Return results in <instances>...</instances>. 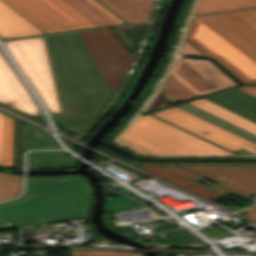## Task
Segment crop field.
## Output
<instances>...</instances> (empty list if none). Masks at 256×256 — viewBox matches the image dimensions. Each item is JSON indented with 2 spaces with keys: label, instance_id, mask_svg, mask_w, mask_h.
Returning <instances> with one entry per match:
<instances>
[{
  "label": "crop field",
  "instance_id": "obj_10",
  "mask_svg": "<svg viewBox=\"0 0 256 256\" xmlns=\"http://www.w3.org/2000/svg\"><path fill=\"white\" fill-rule=\"evenodd\" d=\"M91 204L0 214V227L32 224L88 216Z\"/></svg>",
  "mask_w": 256,
  "mask_h": 256
},
{
  "label": "crop field",
  "instance_id": "obj_18",
  "mask_svg": "<svg viewBox=\"0 0 256 256\" xmlns=\"http://www.w3.org/2000/svg\"><path fill=\"white\" fill-rule=\"evenodd\" d=\"M141 168L145 169V170H148L160 177H163L173 183H176L182 187H185L203 197H206L210 200L216 198V197H219V196H222L220 194H217L203 186H200L180 175H177L175 173H172L158 165H143L141 166Z\"/></svg>",
  "mask_w": 256,
  "mask_h": 256
},
{
  "label": "crop field",
  "instance_id": "obj_36",
  "mask_svg": "<svg viewBox=\"0 0 256 256\" xmlns=\"http://www.w3.org/2000/svg\"><path fill=\"white\" fill-rule=\"evenodd\" d=\"M147 24H148V23H145V24H137V25H135V26H136V28L139 30V32L143 35Z\"/></svg>",
  "mask_w": 256,
  "mask_h": 256
},
{
  "label": "crop field",
  "instance_id": "obj_22",
  "mask_svg": "<svg viewBox=\"0 0 256 256\" xmlns=\"http://www.w3.org/2000/svg\"><path fill=\"white\" fill-rule=\"evenodd\" d=\"M21 193V177L0 173V201L18 196Z\"/></svg>",
  "mask_w": 256,
  "mask_h": 256
},
{
  "label": "crop field",
  "instance_id": "obj_4",
  "mask_svg": "<svg viewBox=\"0 0 256 256\" xmlns=\"http://www.w3.org/2000/svg\"><path fill=\"white\" fill-rule=\"evenodd\" d=\"M120 138L156 155H235L149 114L140 116Z\"/></svg>",
  "mask_w": 256,
  "mask_h": 256
},
{
  "label": "crop field",
  "instance_id": "obj_21",
  "mask_svg": "<svg viewBox=\"0 0 256 256\" xmlns=\"http://www.w3.org/2000/svg\"><path fill=\"white\" fill-rule=\"evenodd\" d=\"M22 147L29 148L57 147L56 143L49 137H37L36 128L22 125Z\"/></svg>",
  "mask_w": 256,
  "mask_h": 256
},
{
  "label": "crop field",
  "instance_id": "obj_30",
  "mask_svg": "<svg viewBox=\"0 0 256 256\" xmlns=\"http://www.w3.org/2000/svg\"><path fill=\"white\" fill-rule=\"evenodd\" d=\"M179 54H185V55H195V56H203L206 57L205 55H203L199 50H197L194 46H192L188 41H186L184 39L182 47L180 49Z\"/></svg>",
  "mask_w": 256,
  "mask_h": 256
},
{
  "label": "crop field",
  "instance_id": "obj_37",
  "mask_svg": "<svg viewBox=\"0 0 256 256\" xmlns=\"http://www.w3.org/2000/svg\"><path fill=\"white\" fill-rule=\"evenodd\" d=\"M136 50H137V48L131 49V53L134 55Z\"/></svg>",
  "mask_w": 256,
  "mask_h": 256
},
{
  "label": "crop field",
  "instance_id": "obj_26",
  "mask_svg": "<svg viewBox=\"0 0 256 256\" xmlns=\"http://www.w3.org/2000/svg\"><path fill=\"white\" fill-rule=\"evenodd\" d=\"M5 166L12 167V118L5 115Z\"/></svg>",
  "mask_w": 256,
  "mask_h": 256
},
{
  "label": "crop field",
  "instance_id": "obj_19",
  "mask_svg": "<svg viewBox=\"0 0 256 256\" xmlns=\"http://www.w3.org/2000/svg\"><path fill=\"white\" fill-rule=\"evenodd\" d=\"M256 6V0H198L193 15Z\"/></svg>",
  "mask_w": 256,
  "mask_h": 256
},
{
  "label": "crop field",
  "instance_id": "obj_38",
  "mask_svg": "<svg viewBox=\"0 0 256 256\" xmlns=\"http://www.w3.org/2000/svg\"><path fill=\"white\" fill-rule=\"evenodd\" d=\"M39 256H48V254H47V253H45V254H41V255H39Z\"/></svg>",
  "mask_w": 256,
  "mask_h": 256
},
{
  "label": "crop field",
  "instance_id": "obj_6",
  "mask_svg": "<svg viewBox=\"0 0 256 256\" xmlns=\"http://www.w3.org/2000/svg\"><path fill=\"white\" fill-rule=\"evenodd\" d=\"M106 86L115 91L133 56L110 28L78 32Z\"/></svg>",
  "mask_w": 256,
  "mask_h": 256
},
{
  "label": "crop field",
  "instance_id": "obj_23",
  "mask_svg": "<svg viewBox=\"0 0 256 256\" xmlns=\"http://www.w3.org/2000/svg\"><path fill=\"white\" fill-rule=\"evenodd\" d=\"M22 166L21 123L13 119V167Z\"/></svg>",
  "mask_w": 256,
  "mask_h": 256
},
{
  "label": "crop field",
  "instance_id": "obj_11",
  "mask_svg": "<svg viewBox=\"0 0 256 256\" xmlns=\"http://www.w3.org/2000/svg\"><path fill=\"white\" fill-rule=\"evenodd\" d=\"M92 192L25 197L0 204V213L91 203Z\"/></svg>",
  "mask_w": 256,
  "mask_h": 256
},
{
  "label": "crop field",
  "instance_id": "obj_7",
  "mask_svg": "<svg viewBox=\"0 0 256 256\" xmlns=\"http://www.w3.org/2000/svg\"><path fill=\"white\" fill-rule=\"evenodd\" d=\"M51 113L61 112L42 37L4 43Z\"/></svg>",
  "mask_w": 256,
  "mask_h": 256
},
{
  "label": "crop field",
  "instance_id": "obj_16",
  "mask_svg": "<svg viewBox=\"0 0 256 256\" xmlns=\"http://www.w3.org/2000/svg\"><path fill=\"white\" fill-rule=\"evenodd\" d=\"M77 161L62 151L28 153V169L76 167Z\"/></svg>",
  "mask_w": 256,
  "mask_h": 256
},
{
  "label": "crop field",
  "instance_id": "obj_32",
  "mask_svg": "<svg viewBox=\"0 0 256 256\" xmlns=\"http://www.w3.org/2000/svg\"><path fill=\"white\" fill-rule=\"evenodd\" d=\"M167 102L168 100L165 98V96L161 92H159L157 98L150 104L148 108H151L159 104L167 103Z\"/></svg>",
  "mask_w": 256,
  "mask_h": 256
},
{
  "label": "crop field",
  "instance_id": "obj_29",
  "mask_svg": "<svg viewBox=\"0 0 256 256\" xmlns=\"http://www.w3.org/2000/svg\"><path fill=\"white\" fill-rule=\"evenodd\" d=\"M232 12L256 30V8Z\"/></svg>",
  "mask_w": 256,
  "mask_h": 256
},
{
  "label": "crop field",
  "instance_id": "obj_15",
  "mask_svg": "<svg viewBox=\"0 0 256 256\" xmlns=\"http://www.w3.org/2000/svg\"><path fill=\"white\" fill-rule=\"evenodd\" d=\"M129 23L146 21L154 1L152 0H98ZM127 22V23H128Z\"/></svg>",
  "mask_w": 256,
  "mask_h": 256
},
{
  "label": "crop field",
  "instance_id": "obj_33",
  "mask_svg": "<svg viewBox=\"0 0 256 256\" xmlns=\"http://www.w3.org/2000/svg\"><path fill=\"white\" fill-rule=\"evenodd\" d=\"M236 88L256 97V86H240Z\"/></svg>",
  "mask_w": 256,
  "mask_h": 256
},
{
  "label": "crop field",
  "instance_id": "obj_8",
  "mask_svg": "<svg viewBox=\"0 0 256 256\" xmlns=\"http://www.w3.org/2000/svg\"><path fill=\"white\" fill-rule=\"evenodd\" d=\"M152 114L211 140L232 152L242 148L256 153V144L176 107Z\"/></svg>",
  "mask_w": 256,
  "mask_h": 256
},
{
  "label": "crop field",
  "instance_id": "obj_35",
  "mask_svg": "<svg viewBox=\"0 0 256 256\" xmlns=\"http://www.w3.org/2000/svg\"><path fill=\"white\" fill-rule=\"evenodd\" d=\"M118 142H120V143H122V144H124V145L130 146V147H132L133 149H135V150H137V151H139V152H141V153H143V154H152V153H150V152H148V151H144V150H142V149H140V148H138V147H136V146H134V145H132V144H130V143H128V142H125V141H123V140H121V139H118ZM152 155H154V154H152Z\"/></svg>",
  "mask_w": 256,
  "mask_h": 256
},
{
  "label": "crop field",
  "instance_id": "obj_27",
  "mask_svg": "<svg viewBox=\"0 0 256 256\" xmlns=\"http://www.w3.org/2000/svg\"><path fill=\"white\" fill-rule=\"evenodd\" d=\"M71 256H142V253L116 252V251H93V250H71Z\"/></svg>",
  "mask_w": 256,
  "mask_h": 256
},
{
  "label": "crop field",
  "instance_id": "obj_25",
  "mask_svg": "<svg viewBox=\"0 0 256 256\" xmlns=\"http://www.w3.org/2000/svg\"><path fill=\"white\" fill-rule=\"evenodd\" d=\"M141 207L134 201L122 195L106 201L105 213L110 211L126 210Z\"/></svg>",
  "mask_w": 256,
  "mask_h": 256
},
{
  "label": "crop field",
  "instance_id": "obj_1",
  "mask_svg": "<svg viewBox=\"0 0 256 256\" xmlns=\"http://www.w3.org/2000/svg\"><path fill=\"white\" fill-rule=\"evenodd\" d=\"M62 113L53 117L77 134L111 97L77 32L44 37Z\"/></svg>",
  "mask_w": 256,
  "mask_h": 256
},
{
  "label": "crop field",
  "instance_id": "obj_13",
  "mask_svg": "<svg viewBox=\"0 0 256 256\" xmlns=\"http://www.w3.org/2000/svg\"><path fill=\"white\" fill-rule=\"evenodd\" d=\"M0 101L29 114H40L36 104L0 54Z\"/></svg>",
  "mask_w": 256,
  "mask_h": 256
},
{
  "label": "crop field",
  "instance_id": "obj_3",
  "mask_svg": "<svg viewBox=\"0 0 256 256\" xmlns=\"http://www.w3.org/2000/svg\"><path fill=\"white\" fill-rule=\"evenodd\" d=\"M44 34L125 22L96 0H3Z\"/></svg>",
  "mask_w": 256,
  "mask_h": 256
},
{
  "label": "crop field",
  "instance_id": "obj_20",
  "mask_svg": "<svg viewBox=\"0 0 256 256\" xmlns=\"http://www.w3.org/2000/svg\"><path fill=\"white\" fill-rule=\"evenodd\" d=\"M176 107H178L180 109H183V110H185L189 113H192L196 116H199V117H201V118H203V119H205V120H207L211 123H214V124L224 128V129H227V130H229V131H231V132H233V133H235V134H237V135H239V136H241V137H243L247 140L251 139V140H253L252 142L256 143V136L255 135H253V134H251L247 131H244V130L238 128V127H235V126H233V125H231L227 122H224V121H222V120H220V119H218V118H216V117H214V116H212L208 113H205V112H203V111H201V110H199V109H197V108H195V107H193V106H191L187 103L177 105Z\"/></svg>",
  "mask_w": 256,
  "mask_h": 256
},
{
  "label": "crop field",
  "instance_id": "obj_12",
  "mask_svg": "<svg viewBox=\"0 0 256 256\" xmlns=\"http://www.w3.org/2000/svg\"><path fill=\"white\" fill-rule=\"evenodd\" d=\"M91 191L85 177L80 175L27 177V192L23 196L53 195Z\"/></svg>",
  "mask_w": 256,
  "mask_h": 256
},
{
  "label": "crop field",
  "instance_id": "obj_5",
  "mask_svg": "<svg viewBox=\"0 0 256 256\" xmlns=\"http://www.w3.org/2000/svg\"><path fill=\"white\" fill-rule=\"evenodd\" d=\"M234 85H238V83L210 61L178 58L173 64L161 92L173 105Z\"/></svg>",
  "mask_w": 256,
  "mask_h": 256
},
{
  "label": "crop field",
  "instance_id": "obj_24",
  "mask_svg": "<svg viewBox=\"0 0 256 256\" xmlns=\"http://www.w3.org/2000/svg\"><path fill=\"white\" fill-rule=\"evenodd\" d=\"M115 29L129 46V48L139 46L142 36L134 27V25L115 27Z\"/></svg>",
  "mask_w": 256,
  "mask_h": 256
},
{
  "label": "crop field",
  "instance_id": "obj_34",
  "mask_svg": "<svg viewBox=\"0 0 256 256\" xmlns=\"http://www.w3.org/2000/svg\"><path fill=\"white\" fill-rule=\"evenodd\" d=\"M244 211L248 213L245 216H247V217H249V218H251V219L256 221V205L252 206V207H250V208H248V209H246Z\"/></svg>",
  "mask_w": 256,
  "mask_h": 256
},
{
  "label": "crop field",
  "instance_id": "obj_17",
  "mask_svg": "<svg viewBox=\"0 0 256 256\" xmlns=\"http://www.w3.org/2000/svg\"><path fill=\"white\" fill-rule=\"evenodd\" d=\"M188 103L256 135V123L241 117L223 107H220L204 98Z\"/></svg>",
  "mask_w": 256,
  "mask_h": 256
},
{
  "label": "crop field",
  "instance_id": "obj_2",
  "mask_svg": "<svg viewBox=\"0 0 256 256\" xmlns=\"http://www.w3.org/2000/svg\"><path fill=\"white\" fill-rule=\"evenodd\" d=\"M244 83H256V31L231 12L193 17L185 35Z\"/></svg>",
  "mask_w": 256,
  "mask_h": 256
},
{
  "label": "crop field",
  "instance_id": "obj_14",
  "mask_svg": "<svg viewBox=\"0 0 256 256\" xmlns=\"http://www.w3.org/2000/svg\"><path fill=\"white\" fill-rule=\"evenodd\" d=\"M43 34L29 21L0 0V38L1 40L13 37Z\"/></svg>",
  "mask_w": 256,
  "mask_h": 256
},
{
  "label": "crop field",
  "instance_id": "obj_9",
  "mask_svg": "<svg viewBox=\"0 0 256 256\" xmlns=\"http://www.w3.org/2000/svg\"><path fill=\"white\" fill-rule=\"evenodd\" d=\"M179 166L247 197L256 195V166Z\"/></svg>",
  "mask_w": 256,
  "mask_h": 256
},
{
  "label": "crop field",
  "instance_id": "obj_31",
  "mask_svg": "<svg viewBox=\"0 0 256 256\" xmlns=\"http://www.w3.org/2000/svg\"><path fill=\"white\" fill-rule=\"evenodd\" d=\"M0 165L4 166V115L0 113Z\"/></svg>",
  "mask_w": 256,
  "mask_h": 256
},
{
  "label": "crop field",
  "instance_id": "obj_28",
  "mask_svg": "<svg viewBox=\"0 0 256 256\" xmlns=\"http://www.w3.org/2000/svg\"><path fill=\"white\" fill-rule=\"evenodd\" d=\"M160 166H162V167H164V168H166V169H168V170H170V171H172V172H175V173H178V174H180V175H182V176H184V177H186V178H188V177H190V178H192V179H199V178H202V177H200V176H197V175H195V174H193V173H191V172H189V171H186V170H184V169H182L181 167H179L178 165H160ZM190 178H188V179H190ZM192 179H190V180H192ZM192 181H194V180H192ZM196 182V181H195ZM198 183V182H197ZM200 184V183H199ZM202 185V184H201ZM204 186V185H203ZM206 187V186H205ZM208 188V187H207ZM209 189H212V190H214V191H216V192H218V193H220L219 191H222L220 194H222V195H224V194H226V193H228V192H230V191H228V190H226V189H224V188H222V187H220V186H218V185H215V186H213V187H211V188H209Z\"/></svg>",
  "mask_w": 256,
  "mask_h": 256
}]
</instances>
